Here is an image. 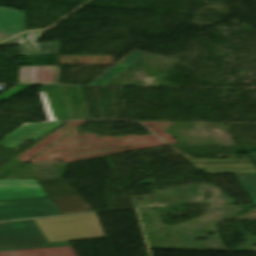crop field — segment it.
Returning a JSON list of instances; mask_svg holds the SVG:
<instances>
[{
    "label": "crop field",
    "instance_id": "crop-field-14",
    "mask_svg": "<svg viewBox=\"0 0 256 256\" xmlns=\"http://www.w3.org/2000/svg\"><path fill=\"white\" fill-rule=\"evenodd\" d=\"M23 36L24 34L18 36L17 38L9 41V42H6V43H0V46L2 45H14V44H18L20 45V50H21V55H32V49L29 45L28 42H26L24 39H23Z\"/></svg>",
    "mask_w": 256,
    "mask_h": 256
},
{
    "label": "crop field",
    "instance_id": "crop-field-12",
    "mask_svg": "<svg viewBox=\"0 0 256 256\" xmlns=\"http://www.w3.org/2000/svg\"><path fill=\"white\" fill-rule=\"evenodd\" d=\"M49 197L77 195L63 179L37 180Z\"/></svg>",
    "mask_w": 256,
    "mask_h": 256
},
{
    "label": "crop field",
    "instance_id": "crop-field-7",
    "mask_svg": "<svg viewBox=\"0 0 256 256\" xmlns=\"http://www.w3.org/2000/svg\"><path fill=\"white\" fill-rule=\"evenodd\" d=\"M47 196L36 180H0V200Z\"/></svg>",
    "mask_w": 256,
    "mask_h": 256
},
{
    "label": "crop field",
    "instance_id": "crop-field-10",
    "mask_svg": "<svg viewBox=\"0 0 256 256\" xmlns=\"http://www.w3.org/2000/svg\"><path fill=\"white\" fill-rule=\"evenodd\" d=\"M145 55L146 53L141 51H132L127 56H125L121 61H119L116 65H114L112 68H110L105 73L96 78L89 85H106L115 77H117L122 72L131 67L133 64H135L139 59H141Z\"/></svg>",
    "mask_w": 256,
    "mask_h": 256
},
{
    "label": "crop field",
    "instance_id": "crop-field-1",
    "mask_svg": "<svg viewBox=\"0 0 256 256\" xmlns=\"http://www.w3.org/2000/svg\"><path fill=\"white\" fill-rule=\"evenodd\" d=\"M0 256H77L68 242L48 244L32 220L0 223Z\"/></svg>",
    "mask_w": 256,
    "mask_h": 256
},
{
    "label": "crop field",
    "instance_id": "crop-field-5",
    "mask_svg": "<svg viewBox=\"0 0 256 256\" xmlns=\"http://www.w3.org/2000/svg\"><path fill=\"white\" fill-rule=\"evenodd\" d=\"M57 214L50 198L0 202V221Z\"/></svg>",
    "mask_w": 256,
    "mask_h": 256
},
{
    "label": "crop field",
    "instance_id": "crop-field-9",
    "mask_svg": "<svg viewBox=\"0 0 256 256\" xmlns=\"http://www.w3.org/2000/svg\"><path fill=\"white\" fill-rule=\"evenodd\" d=\"M25 30L24 13L9 7H0V40Z\"/></svg>",
    "mask_w": 256,
    "mask_h": 256
},
{
    "label": "crop field",
    "instance_id": "crop-field-4",
    "mask_svg": "<svg viewBox=\"0 0 256 256\" xmlns=\"http://www.w3.org/2000/svg\"><path fill=\"white\" fill-rule=\"evenodd\" d=\"M182 156L192 162L195 168H206L208 173L234 172L253 204L256 205V169L250 159H193L187 154Z\"/></svg>",
    "mask_w": 256,
    "mask_h": 256
},
{
    "label": "crop field",
    "instance_id": "crop-field-3",
    "mask_svg": "<svg viewBox=\"0 0 256 256\" xmlns=\"http://www.w3.org/2000/svg\"><path fill=\"white\" fill-rule=\"evenodd\" d=\"M39 89L48 121L90 119L80 87L42 85Z\"/></svg>",
    "mask_w": 256,
    "mask_h": 256
},
{
    "label": "crop field",
    "instance_id": "crop-field-11",
    "mask_svg": "<svg viewBox=\"0 0 256 256\" xmlns=\"http://www.w3.org/2000/svg\"><path fill=\"white\" fill-rule=\"evenodd\" d=\"M51 200L61 214L92 211L79 196L56 197Z\"/></svg>",
    "mask_w": 256,
    "mask_h": 256
},
{
    "label": "crop field",
    "instance_id": "crop-field-8",
    "mask_svg": "<svg viewBox=\"0 0 256 256\" xmlns=\"http://www.w3.org/2000/svg\"><path fill=\"white\" fill-rule=\"evenodd\" d=\"M19 82L58 84V66H22Z\"/></svg>",
    "mask_w": 256,
    "mask_h": 256
},
{
    "label": "crop field",
    "instance_id": "crop-field-2",
    "mask_svg": "<svg viewBox=\"0 0 256 256\" xmlns=\"http://www.w3.org/2000/svg\"><path fill=\"white\" fill-rule=\"evenodd\" d=\"M49 243L106 237L95 213L34 219Z\"/></svg>",
    "mask_w": 256,
    "mask_h": 256
},
{
    "label": "crop field",
    "instance_id": "crop-field-13",
    "mask_svg": "<svg viewBox=\"0 0 256 256\" xmlns=\"http://www.w3.org/2000/svg\"><path fill=\"white\" fill-rule=\"evenodd\" d=\"M43 32H30L26 34V39L31 43L35 49L34 55H59V43H36V41L45 33Z\"/></svg>",
    "mask_w": 256,
    "mask_h": 256
},
{
    "label": "crop field",
    "instance_id": "crop-field-6",
    "mask_svg": "<svg viewBox=\"0 0 256 256\" xmlns=\"http://www.w3.org/2000/svg\"><path fill=\"white\" fill-rule=\"evenodd\" d=\"M64 122L23 124L0 140V146L16 149L29 139L38 141Z\"/></svg>",
    "mask_w": 256,
    "mask_h": 256
},
{
    "label": "crop field",
    "instance_id": "crop-field-15",
    "mask_svg": "<svg viewBox=\"0 0 256 256\" xmlns=\"http://www.w3.org/2000/svg\"><path fill=\"white\" fill-rule=\"evenodd\" d=\"M31 85H19L13 89H11L10 91L6 92L5 94L0 96V100L2 99H9L10 97L20 93L21 91L25 90L26 88H28Z\"/></svg>",
    "mask_w": 256,
    "mask_h": 256
}]
</instances>
